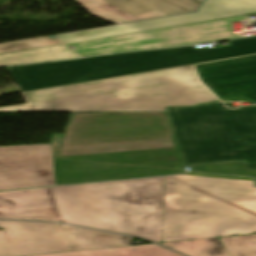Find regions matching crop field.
Here are the masks:
<instances>
[{
  "instance_id": "2",
  "label": "crop field",
  "mask_w": 256,
  "mask_h": 256,
  "mask_svg": "<svg viewBox=\"0 0 256 256\" xmlns=\"http://www.w3.org/2000/svg\"><path fill=\"white\" fill-rule=\"evenodd\" d=\"M256 233L253 181L165 177L163 242Z\"/></svg>"
},
{
  "instance_id": "17",
  "label": "crop field",
  "mask_w": 256,
  "mask_h": 256,
  "mask_svg": "<svg viewBox=\"0 0 256 256\" xmlns=\"http://www.w3.org/2000/svg\"><path fill=\"white\" fill-rule=\"evenodd\" d=\"M189 256H230L218 238L161 243Z\"/></svg>"
},
{
  "instance_id": "12",
  "label": "crop field",
  "mask_w": 256,
  "mask_h": 256,
  "mask_svg": "<svg viewBox=\"0 0 256 256\" xmlns=\"http://www.w3.org/2000/svg\"><path fill=\"white\" fill-rule=\"evenodd\" d=\"M91 15L114 24L196 11L204 0H76Z\"/></svg>"
},
{
  "instance_id": "15",
  "label": "crop field",
  "mask_w": 256,
  "mask_h": 256,
  "mask_svg": "<svg viewBox=\"0 0 256 256\" xmlns=\"http://www.w3.org/2000/svg\"><path fill=\"white\" fill-rule=\"evenodd\" d=\"M31 256H181L155 244Z\"/></svg>"
},
{
  "instance_id": "16",
  "label": "crop field",
  "mask_w": 256,
  "mask_h": 256,
  "mask_svg": "<svg viewBox=\"0 0 256 256\" xmlns=\"http://www.w3.org/2000/svg\"><path fill=\"white\" fill-rule=\"evenodd\" d=\"M78 58L65 45L0 55V66Z\"/></svg>"
},
{
  "instance_id": "7",
  "label": "crop field",
  "mask_w": 256,
  "mask_h": 256,
  "mask_svg": "<svg viewBox=\"0 0 256 256\" xmlns=\"http://www.w3.org/2000/svg\"><path fill=\"white\" fill-rule=\"evenodd\" d=\"M241 16L69 44L80 56L139 51L164 47L198 44L243 37L233 33L232 22Z\"/></svg>"
},
{
  "instance_id": "6",
  "label": "crop field",
  "mask_w": 256,
  "mask_h": 256,
  "mask_svg": "<svg viewBox=\"0 0 256 256\" xmlns=\"http://www.w3.org/2000/svg\"><path fill=\"white\" fill-rule=\"evenodd\" d=\"M52 147L57 156L175 146L164 112H106L70 115L66 134L52 135Z\"/></svg>"
},
{
  "instance_id": "19",
  "label": "crop field",
  "mask_w": 256,
  "mask_h": 256,
  "mask_svg": "<svg viewBox=\"0 0 256 256\" xmlns=\"http://www.w3.org/2000/svg\"><path fill=\"white\" fill-rule=\"evenodd\" d=\"M60 44L47 36L0 44V54Z\"/></svg>"
},
{
  "instance_id": "8",
  "label": "crop field",
  "mask_w": 256,
  "mask_h": 256,
  "mask_svg": "<svg viewBox=\"0 0 256 256\" xmlns=\"http://www.w3.org/2000/svg\"><path fill=\"white\" fill-rule=\"evenodd\" d=\"M253 13H256V0H206L201 10L194 14L75 32L58 37L62 44H69Z\"/></svg>"
},
{
  "instance_id": "11",
  "label": "crop field",
  "mask_w": 256,
  "mask_h": 256,
  "mask_svg": "<svg viewBox=\"0 0 256 256\" xmlns=\"http://www.w3.org/2000/svg\"><path fill=\"white\" fill-rule=\"evenodd\" d=\"M203 83L220 99L256 102V55L195 66Z\"/></svg>"
},
{
  "instance_id": "1",
  "label": "crop field",
  "mask_w": 256,
  "mask_h": 256,
  "mask_svg": "<svg viewBox=\"0 0 256 256\" xmlns=\"http://www.w3.org/2000/svg\"><path fill=\"white\" fill-rule=\"evenodd\" d=\"M27 102L0 112L166 111L217 98L198 80L192 65L21 93Z\"/></svg>"
},
{
  "instance_id": "4",
  "label": "crop field",
  "mask_w": 256,
  "mask_h": 256,
  "mask_svg": "<svg viewBox=\"0 0 256 256\" xmlns=\"http://www.w3.org/2000/svg\"><path fill=\"white\" fill-rule=\"evenodd\" d=\"M165 113L184 165L242 161L256 169V106L211 102Z\"/></svg>"
},
{
  "instance_id": "9",
  "label": "crop field",
  "mask_w": 256,
  "mask_h": 256,
  "mask_svg": "<svg viewBox=\"0 0 256 256\" xmlns=\"http://www.w3.org/2000/svg\"><path fill=\"white\" fill-rule=\"evenodd\" d=\"M56 185L51 144L0 146V190Z\"/></svg>"
},
{
  "instance_id": "18",
  "label": "crop field",
  "mask_w": 256,
  "mask_h": 256,
  "mask_svg": "<svg viewBox=\"0 0 256 256\" xmlns=\"http://www.w3.org/2000/svg\"><path fill=\"white\" fill-rule=\"evenodd\" d=\"M219 239L231 256H256V234Z\"/></svg>"
},
{
  "instance_id": "10",
  "label": "crop field",
  "mask_w": 256,
  "mask_h": 256,
  "mask_svg": "<svg viewBox=\"0 0 256 256\" xmlns=\"http://www.w3.org/2000/svg\"><path fill=\"white\" fill-rule=\"evenodd\" d=\"M0 256H19L70 251L60 225L0 221Z\"/></svg>"
},
{
  "instance_id": "5",
  "label": "crop field",
  "mask_w": 256,
  "mask_h": 256,
  "mask_svg": "<svg viewBox=\"0 0 256 256\" xmlns=\"http://www.w3.org/2000/svg\"><path fill=\"white\" fill-rule=\"evenodd\" d=\"M230 44L216 49L189 46L10 67L7 70L26 92L256 53V38L232 41Z\"/></svg>"
},
{
  "instance_id": "13",
  "label": "crop field",
  "mask_w": 256,
  "mask_h": 256,
  "mask_svg": "<svg viewBox=\"0 0 256 256\" xmlns=\"http://www.w3.org/2000/svg\"><path fill=\"white\" fill-rule=\"evenodd\" d=\"M0 218L62 222L52 187L0 192Z\"/></svg>"
},
{
  "instance_id": "14",
  "label": "crop field",
  "mask_w": 256,
  "mask_h": 256,
  "mask_svg": "<svg viewBox=\"0 0 256 256\" xmlns=\"http://www.w3.org/2000/svg\"><path fill=\"white\" fill-rule=\"evenodd\" d=\"M71 250L129 245L130 237L74 226L61 225Z\"/></svg>"
},
{
  "instance_id": "20",
  "label": "crop field",
  "mask_w": 256,
  "mask_h": 256,
  "mask_svg": "<svg viewBox=\"0 0 256 256\" xmlns=\"http://www.w3.org/2000/svg\"><path fill=\"white\" fill-rule=\"evenodd\" d=\"M222 101H247V100H243V99H232V100H222Z\"/></svg>"
},
{
  "instance_id": "3",
  "label": "crop field",
  "mask_w": 256,
  "mask_h": 256,
  "mask_svg": "<svg viewBox=\"0 0 256 256\" xmlns=\"http://www.w3.org/2000/svg\"><path fill=\"white\" fill-rule=\"evenodd\" d=\"M53 189L65 223L162 242L164 177Z\"/></svg>"
}]
</instances>
